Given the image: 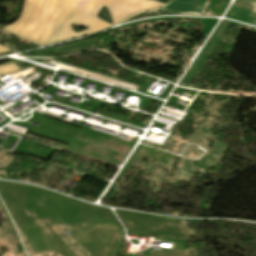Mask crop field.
Returning a JSON list of instances; mask_svg holds the SVG:
<instances>
[{
	"label": "crop field",
	"instance_id": "obj_6",
	"mask_svg": "<svg viewBox=\"0 0 256 256\" xmlns=\"http://www.w3.org/2000/svg\"><path fill=\"white\" fill-rule=\"evenodd\" d=\"M152 1H156V2H160V3L166 4L169 0H152Z\"/></svg>",
	"mask_w": 256,
	"mask_h": 256
},
{
	"label": "crop field",
	"instance_id": "obj_1",
	"mask_svg": "<svg viewBox=\"0 0 256 256\" xmlns=\"http://www.w3.org/2000/svg\"><path fill=\"white\" fill-rule=\"evenodd\" d=\"M103 6L107 7L115 24L135 12L163 4L147 0H24L19 20L4 29L47 45L111 26L95 17ZM71 23L88 29L76 33L71 30Z\"/></svg>",
	"mask_w": 256,
	"mask_h": 256
},
{
	"label": "crop field",
	"instance_id": "obj_2",
	"mask_svg": "<svg viewBox=\"0 0 256 256\" xmlns=\"http://www.w3.org/2000/svg\"><path fill=\"white\" fill-rule=\"evenodd\" d=\"M209 0H173L162 12L202 15Z\"/></svg>",
	"mask_w": 256,
	"mask_h": 256
},
{
	"label": "crop field",
	"instance_id": "obj_4",
	"mask_svg": "<svg viewBox=\"0 0 256 256\" xmlns=\"http://www.w3.org/2000/svg\"><path fill=\"white\" fill-rule=\"evenodd\" d=\"M233 5L256 11V0H235Z\"/></svg>",
	"mask_w": 256,
	"mask_h": 256
},
{
	"label": "crop field",
	"instance_id": "obj_5",
	"mask_svg": "<svg viewBox=\"0 0 256 256\" xmlns=\"http://www.w3.org/2000/svg\"><path fill=\"white\" fill-rule=\"evenodd\" d=\"M17 70H19V68L14 63L0 66V74L11 73Z\"/></svg>",
	"mask_w": 256,
	"mask_h": 256
},
{
	"label": "crop field",
	"instance_id": "obj_3",
	"mask_svg": "<svg viewBox=\"0 0 256 256\" xmlns=\"http://www.w3.org/2000/svg\"><path fill=\"white\" fill-rule=\"evenodd\" d=\"M225 17L256 25V13L241 8L231 6Z\"/></svg>",
	"mask_w": 256,
	"mask_h": 256
},
{
	"label": "crop field",
	"instance_id": "obj_7",
	"mask_svg": "<svg viewBox=\"0 0 256 256\" xmlns=\"http://www.w3.org/2000/svg\"><path fill=\"white\" fill-rule=\"evenodd\" d=\"M6 51H9V50H7L6 48H4V47L0 46V53H2V52H6Z\"/></svg>",
	"mask_w": 256,
	"mask_h": 256
}]
</instances>
